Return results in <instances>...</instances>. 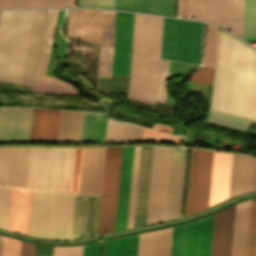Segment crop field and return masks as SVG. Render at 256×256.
<instances>
[{
  "mask_svg": "<svg viewBox=\"0 0 256 256\" xmlns=\"http://www.w3.org/2000/svg\"><path fill=\"white\" fill-rule=\"evenodd\" d=\"M240 155L233 154L229 198L237 194ZM253 158L241 155L238 194L250 191Z\"/></svg>",
  "mask_w": 256,
  "mask_h": 256,
  "instance_id": "obj_30",
  "label": "crop field"
},
{
  "mask_svg": "<svg viewBox=\"0 0 256 256\" xmlns=\"http://www.w3.org/2000/svg\"><path fill=\"white\" fill-rule=\"evenodd\" d=\"M134 147H123L115 230L126 228Z\"/></svg>",
  "mask_w": 256,
  "mask_h": 256,
  "instance_id": "obj_21",
  "label": "crop field"
},
{
  "mask_svg": "<svg viewBox=\"0 0 256 256\" xmlns=\"http://www.w3.org/2000/svg\"><path fill=\"white\" fill-rule=\"evenodd\" d=\"M107 117L84 112L80 143L104 142Z\"/></svg>",
  "mask_w": 256,
  "mask_h": 256,
  "instance_id": "obj_33",
  "label": "crop field"
},
{
  "mask_svg": "<svg viewBox=\"0 0 256 256\" xmlns=\"http://www.w3.org/2000/svg\"><path fill=\"white\" fill-rule=\"evenodd\" d=\"M215 28L208 25L202 64L210 66Z\"/></svg>",
  "mask_w": 256,
  "mask_h": 256,
  "instance_id": "obj_48",
  "label": "crop field"
},
{
  "mask_svg": "<svg viewBox=\"0 0 256 256\" xmlns=\"http://www.w3.org/2000/svg\"><path fill=\"white\" fill-rule=\"evenodd\" d=\"M115 12L103 10L98 77H110Z\"/></svg>",
  "mask_w": 256,
  "mask_h": 256,
  "instance_id": "obj_25",
  "label": "crop field"
},
{
  "mask_svg": "<svg viewBox=\"0 0 256 256\" xmlns=\"http://www.w3.org/2000/svg\"><path fill=\"white\" fill-rule=\"evenodd\" d=\"M35 103H36V98H31L30 104L35 105Z\"/></svg>",
  "mask_w": 256,
  "mask_h": 256,
  "instance_id": "obj_78",
  "label": "crop field"
},
{
  "mask_svg": "<svg viewBox=\"0 0 256 256\" xmlns=\"http://www.w3.org/2000/svg\"><path fill=\"white\" fill-rule=\"evenodd\" d=\"M50 106H53V107H64V102L51 100Z\"/></svg>",
  "mask_w": 256,
  "mask_h": 256,
  "instance_id": "obj_64",
  "label": "crop field"
},
{
  "mask_svg": "<svg viewBox=\"0 0 256 256\" xmlns=\"http://www.w3.org/2000/svg\"><path fill=\"white\" fill-rule=\"evenodd\" d=\"M83 245L54 247L53 256H82Z\"/></svg>",
  "mask_w": 256,
  "mask_h": 256,
  "instance_id": "obj_50",
  "label": "crop field"
},
{
  "mask_svg": "<svg viewBox=\"0 0 256 256\" xmlns=\"http://www.w3.org/2000/svg\"><path fill=\"white\" fill-rule=\"evenodd\" d=\"M89 110L105 111V107L90 106Z\"/></svg>",
  "mask_w": 256,
  "mask_h": 256,
  "instance_id": "obj_70",
  "label": "crop field"
},
{
  "mask_svg": "<svg viewBox=\"0 0 256 256\" xmlns=\"http://www.w3.org/2000/svg\"><path fill=\"white\" fill-rule=\"evenodd\" d=\"M11 187L0 186V228L7 230Z\"/></svg>",
  "mask_w": 256,
  "mask_h": 256,
  "instance_id": "obj_42",
  "label": "crop field"
},
{
  "mask_svg": "<svg viewBox=\"0 0 256 256\" xmlns=\"http://www.w3.org/2000/svg\"><path fill=\"white\" fill-rule=\"evenodd\" d=\"M129 117H130V114H126V113H125L124 116H123V118H122V120L128 121Z\"/></svg>",
  "mask_w": 256,
  "mask_h": 256,
  "instance_id": "obj_72",
  "label": "crop field"
},
{
  "mask_svg": "<svg viewBox=\"0 0 256 256\" xmlns=\"http://www.w3.org/2000/svg\"><path fill=\"white\" fill-rule=\"evenodd\" d=\"M106 148H84L79 193L101 195Z\"/></svg>",
  "mask_w": 256,
  "mask_h": 256,
  "instance_id": "obj_14",
  "label": "crop field"
},
{
  "mask_svg": "<svg viewBox=\"0 0 256 256\" xmlns=\"http://www.w3.org/2000/svg\"><path fill=\"white\" fill-rule=\"evenodd\" d=\"M255 123V122H254ZM254 123H252V124H254ZM251 125V124H250ZM251 126H255V125H251ZM251 126H249V128H253V129H256V127H251ZM250 130V129H249ZM255 131V130H254Z\"/></svg>",
  "mask_w": 256,
  "mask_h": 256,
  "instance_id": "obj_82",
  "label": "crop field"
},
{
  "mask_svg": "<svg viewBox=\"0 0 256 256\" xmlns=\"http://www.w3.org/2000/svg\"><path fill=\"white\" fill-rule=\"evenodd\" d=\"M204 124L209 125V126H216L220 129H224V130H228V131L230 130V128H228V127L216 125V124L209 123V122H205ZM231 132H238V133H242V134L244 133V131H240V130H236V129H231Z\"/></svg>",
  "mask_w": 256,
  "mask_h": 256,
  "instance_id": "obj_60",
  "label": "crop field"
},
{
  "mask_svg": "<svg viewBox=\"0 0 256 256\" xmlns=\"http://www.w3.org/2000/svg\"><path fill=\"white\" fill-rule=\"evenodd\" d=\"M172 228L139 235L137 256H169Z\"/></svg>",
  "mask_w": 256,
  "mask_h": 256,
  "instance_id": "obj_27",
  "label": "crop field"
},
{
  "mask_svg": "<svg viewBox=\"0 0 256 256\" xmlns=\"http://www.w3.org/2000/svg\"><path fill=\"white\" fill-rule=\"evenodd\" d=\"M193 90L199 93V84H194Z\"/></svg>",
  "mask_w": 256,
  "mask_h": 256,
  "instance_id": "obj_73",
  "label": "crop field"
},
{
  "mask_svg": "<svg viewBox=\"0 0 256 256\" xmlns=\"http://www.w3.org/2000/svg\"><path fill=\"white\" fill-rule=\"evenodd\" d=\"M31 91L52 94H78L69 83L61 82L54 77L41 75H38L37 81Z\"/></svg>",
  "mask_w": 256,
  "mask_h": 256,
  "instance_id": "obj_35",
  "label": "crop field"
},
{
  "mask_svg": "<svg viewBox=\"0 0 256 256\" xmlns=\"http://www.w3.org/2000/svg\"><path fill=\"white\" fill-rule=\"evenodd\" d=\"M74 148H53L49 189L70 192Z\"/></svg>",
  "mask_w": 256,
  "mask_h": 256,
  "instance_id": "obj_20",
  "label": "crop field"
},
{
  "mask_svg": "<svg viewBox=\"0 0 256 256\" xmlns=\"http://www.w3.org/2000/svg\"><path fill=\"white\" fill-rule=\"evenodd\" d=\"M125 123L108 118L105 142L123 143Z\"/></svg>",
  "mask_w": 256,
  "mask_h": 256,
  "instance_id": "obj_41",
  "label": "crop field"
},
{
  "mask_svg": "<svg viewBox=\"0 0 256 256\" xmlns=\"http://www.w3.org/2000/svg\"><path fill=\"white\" fill-rule=\"evenodd\" d=\"M210 135H211V134L208 133L207 139H206V143H205L206 146L208 145V142H209V139H210Z\"/></svg>",
  "mask_w": 256,
  "mask_h": 256,
  "instance_id": "obj_77",
  "label": "crop field"
},
{
  "mask_svg": "<svg viewBox=\"0 0 256 256\" xmlns=\"http://www.w3.org/2000/svg\"><path fill=\"white\" fill-rule=\"evenodd\" d=\"M0 103H1V99H0Z\"/></svg>",
  "mask_w": 256,
  "mask_h": 256,
  "instance_id": "obj_84",
  "label": "crop field"
},
{
  "mask_svg": "<svg viewBox=\"0 0 256 256\" xmlns=\"http://www.w3.org/2000/svg\"><path fill=\"white\" fill-rule=\"evenodd\" d=\"M32 189L12 187L8 230L28 235Z\"/></svg>",
  "mask_w": 256,
  "mask_h": 256,
  "instance_id": "obj_18",
  "label": "crop field"
},
{
  "mask_svg": "<svg viewBox=\"0 0 256 256\" xmlns=\"http://www.w3.org/2000/svg\"><path fill=\"white\" fill-rule=\"evenodd\" d=\"M1 98H2V104H5V99H4V95L1 94Z\"/></svg>",
  "mask_w": 256,
  "mask_h": 256,
  "instance_id": "obj_80",
  "label": "crop field"
},
{
  "mask_svg": "<svg viewBox=\"0 0 256 256\" xmlns=\"http://www.w3.org/2000/svg\"><path fill=\"white\" fill-rule=\"evenodd\" d=\"M1 241H2V236H0V251H1Z\"/></svg>",
  "mask_w": 256,
  "mask_h": 256,
  "instance_id": "obj_83",
  "label": "crop field"
},
{
  "mask_svg": "<svg viewBox=\"0 0 256 256\" xmlns=\"http://www.w3.org/2000/svg\"><path fill=\"white\" fill-rule=\"evenodd\" d=\"M83 112L61 110L57 142L79 143Z\"/></svg>",
  "mask_w": 256,
  "mask_h": 256,
  "instance_id": "obj_32",
  "label": "crop field"
},
{
  "mask_svg": "<svg viewBox=\"0 0 256 256\" xmlns=\"http://www.w3.org/2000/svg\"><path fill=\"white\" fill-rule=\"evenodd\" d=\"M0 7H74V0H0Z\"/></svg>",
  "mask_w": 256,
  "mask_h": 256,
  "instance_id": "obj_36",
  "label": "crop field"
},
{
  "mask_svg": "<svg viewBox=\"0 0 256 256\" xmlns=\"http://www.w3.org/2000/svg\"><path fill=\"white\" fill-rule=\"evenodd\" d=\"M211 111L256 121V51L224 31Z\"/></svg>",
  "mask_w": 256,
  "mask_h": 256,
  "instance_id": "obj_1",
  "label": "crop field"
},
{
  "mask_svg": "<svg viewBox=\"0 0 256 256\" xmlns=\"http://www.w3.org/2000/svg\"><path fill=\"white\" fill-rule=\"evenodd\" d=\"M75 194L33 189L29 236L70 239Z\"/></svg>",
  "mask_w": 256,
  "mask_h": 256,
  "instance_id": "obj_3",
  "label": "crop field"
},
{
  "mask_svg": "<svg viewBox=\"0 0 256 256\" xmlns=\"http://www.w3.org/2000/svg\"><path fill=\"white\" fill-rule=\"evenodd\" d=\"M29 147L0 148V184L25 187Z\"/></svg>",
  "mask_w": 256,
  "mask_h": 256,
  "instance_id": "obj_17",
  "label": "crop field"
},
{
  "mask_svg": "<svg viewBox=\"0 0 256 256\" xmlns=\"http://www.w3.org/2000/svg\"><path fill=\"white\" fill-rule=\"evenodd\" d=\"M134 14L116 12L112 74L129 75Z\"/></svg>",
  "mask_w": 256,
  "mask_h": 256,
  "instance_id": "obj_10",
  "label": "crop field"
},
{
  "mask_svg": "<svg viewBox=\"0 0 256 256\" xmlns=\"http://www.w3.org/2000/svg\"><path fill=\"white\" fill-rule=\"evenodd\" d=\"M52 246L34 244L33 256H52Z\"/></svg>",
  "mask_w": 256,
  "mask_h": 256,
  "instance_id": "obj_54",
  "label": "crop field"
},
{
  "mask_svg": "<svg viewBox=\"0 0 256 256\" xmlns=\"http://www.w3.org/2000/svg\"><path fill=\"white\" fill-rule=\"evenodd\" d=\"M32 110L0 107V143L28 142Z\"/></svg>",
  "mask_w": 256,
  "mask_h": 256,
  "instance_id": "obj_13",
  "label": "crop field"
},
{
  "mask_svg": "<svg viewBox=\"0 0 256 256\" xmlns=\"http://www.w3.org/2000/svg\"><path fill=\"white\" fill-rule=\"evenodd\" d=\"M251 200L236 205L231 256H245Z\"/></svg>",
  "mask_w": 256,
  "mask_h": 256,
  "instance_id": "obj_28",
  "label": "crop field"
},
{
  "mask_svg": "<svg viewBox=\"0 0 256 256\" xmlns=\"http://www.w3.org/2000/svg\"><path fill=\"white\" fill-rule=\"evenodd\" d=\"M140 147H135L127 228L133 227Z\"/></svg>",
  "mask_w": 256,
  "mask_h": 256,
  "instance_id": "obj_39",
  "label": "crop field"
},
{
  "mask_svg": "<svg viewBox=\"0 0 256 256\" xmlns=\"http://www.w3.org/2000/svg\"><path fill=\"white\" fill-rule=\"evenodd\" d=\"M256 190V159L254 158L253 163V175H252V186L251 191Z\"/></svg>",
  "mask_w": 256,
  "mask_h": 256,
  "instance_id": "obj_59",
  "label": "crop field"
},
{
  "mask_svg": "<svg viewBox=\"0 0 256 256\" xmlns=\"http://www.w3.org/2000/svg\"><path fill=\"white\" fill-rule=\"evenodd\" d=\"M32 251H33V244L25 243L22 241L20 256H32Z\"/></svg>",
  "mask_w": 256,
  "mask_h": 256,
  "instance_id": "obj_57",
  "label": "crop field"
},
{
  "mask_svg": "<svg viewBox=\"0 0 256 256\" xmlns=\"http://www.w3.org/2000/svg\"><path fill=\"white\" fill-rule=\"evenodd\" d=\"M154 122H155L154 119L144 118V120H143V122L141 123V125H143V126H148V127L152 128Z\"/></svg>",
  "mask_w": 256,
  "mask_h": 256,
  "instance_id": "obj_61",
  "label": "crop field"
},
{
  "mask_svg": "<svg viewBox=\"0 0 256 256\" xmlns=\"http://www.w3.org/2000/svg\"><path fill=\"white\" fill-rule=\"evenodd\" d=\"M43 106H49V100L44 101Z\"/></svg>",
  "mask_w": 256,
  "mask_h": 256,
  "instance_id": "obj_79",
  "label": "crop field"
},
{
  "mask_svg": "<svg viewBox=\"0 0 256 256\" xmlns=\"http://www.w3.org/2000/svg\"><path fill=\"white\" fill-rule=\"evenodd\" d=\"M78 7H93V0H78ZM94 7L113 9V0H94Z\"/></svg>",
  "mask_w": 256,
  "mask_h": 256,
  "instance_id": "obj_51",
  "label": "crop field"
},
{
  "mask_svg": "<svg viewBox=\"0 0 256 256\" xmlns=\"http://www.w3.org/2000/svg\"><path fill=\"white\" fill-rule=\"evenodd\" d=\"M243 39L256 40V0H245Z\"/></svg>",
  "mask_w": 256,
  "mask_h": 256,
  "instance_id": "obj_37",
  "label": "crop field"
},
{
  "mask_svg": "<svg viewBox=\"0 0 256 256\" xmlns=\"http://www.w3.org/2000/svg\"><path fill=\"white\" fill-rule=\"evenodd\" d=\"M110 101H111V100H109V99H104V98H101V100H100V102H102L103 104H105V105L107 106V111H106V113H108Z\"/></svg>",
  "mask_w": 256,
  "mask_h": 256,
  "instance_id": "obj_69",
  "label": "crop field"
},
{
  "mask_svg": "<svg viewBox=\"0 0 256 256\" xmlns=\"http://www.w3.org/2000/svg\"><path fill=\"white\" fill-rule=\"evenodd\" d=\"M34 10H2L0 80L19 83Z\"/></svg>",
  "mask_w": 256,
  "mask_h": 256,
  "instance_id": "obj_4",
  "label": "crop field"
},
{
  "mask_svg": "<svg viewBox=\"0 0 256 256\" xmlns=\"http://www.w3.org/2000/svg\"><path fill=\"white\" fill-rule=\"evenodd\" d=\"M171 148L154 147L146 224L164 220Z\"/></svg>",
  "mask_w": 256,
  "mask_h": 256,
  "instance_id": "obj_7",
  "label": "crop field"
},
{
  "mask_svg": "<svg viewBox=\"0 0 256 256\" xmlns=\"http://www.w3.org/2000/svg\"><path fill=\"white\" fill-rule=\"evenodd\" d=\"M202 24L164 17L161 57L200 64Z\"/></svg>",
  "mask_w": 256,
  "mask_h": 256,
  "instance_id": "obj_5",
  "label": "crop field"
},
{
  "mask_svg": "<svg viewBox=\"0 0 256 256\" xmlns=\"http://www.w3.org/2000/svg\"><path fill=\"white\" fill-rule=\"evenodd\" d=\"M220 33L221 32L217 30L216 39H215V45H214V51H213V57H212V63H211V66H214V67H216V62H217Z\"/></svg>",
  "mask_w": 256,
  "mask_h": 256,
  "instance_id": "obj_55",
  "label": "crop field"
},
{
  "mask_svg": "<svg viewBox=\"0 0 256 256\" xmlns=\"http://www.w3.org/2000/svg\"><path fill=\"white\" fill-rule=\"evenodd\" d=\"M165 126H166V125H165ZM165 126H161V125L155 124L153 128H154V129H160V130H163V131H168V132H170V131H171V128L165 127Z\"/></svg>",
  "mask_w": 256,
  "mask_h": 256,
  "instance_id": "obj_66",
  "label": "crop field"
},
{
  "mask_svg": "<svg viewBox=\"0 0 256 256\" xmlns=\"http://www.w3.org/2000/svg\"><path fill=\"white\" fill-rule=\"evenodd\" d=\"M1 11V10H0Z\"/></svg>",
  "mask_w": 256,
  "mask_h": 256,
  "instance_id": "obj_85",
  "label": "crop field"
},
{
  "mask_svg": "<svg viewBox=\"0 0 256 256\" xmlns=\"http://www.w3.org/2000/svg\"><path fill=\"white\" fill-rule=\"evenodd\" d=\"M138 235L107 241L103 256H136Z\"/></svg>",
  "mask_w": 256,
  "mask_h": 256,
  "instance_id": "obj_34",
  "label": "crop field"
},
{
  "mask_svg": "<svg viewBox=\"0 0 256 256\" xmlns=\"http://www.w3.org/2000/svg\"><path fill=\"white\" fill-rule=\"evenodd\" d=\"M83 148H75L71 192L78 193Z\"/></svg>",
  "mask_w": 256,
  "mask_h": 256,
  "instance_id": "obj_45",
  "label": "crop field"
},
{
  "mask_svg": "<svg viewBox=\"0 0 256 256\" xmlns=\"http://www.w3.org/2000/svg\"><path fill=\"white\" fill-rule=\"evenodd\" d=\"M21 242L3 236L1 256H19Z\"/></svg>",
  "mask_w": 256,
  "mask_h": 256,
  "instance_id": "obj_47",
  "label": "crop field"
},
{
  "mask_svg": "<svg viewBox=\"0 0 256 256\" xmlns=\"http://www.w3.org/2000/svg\"><path fill=\"white\" fill-rule=\"evenodd\" d=\"M213 152L193 150L187 215L208 208Z\"/></svg>",
  "mask_w": 256,
  "mask_h": 256,
  "instance_id": "obj_9",
  "label": "crop field"
},
{
  "mask_svg": "<svg viewBox=\"0 0 256 256\" xmlns=\"http://www.w3.org/2000/svg\"><path fill=\"white\" fill-rule=\"evenodd\" d=\"M232 154L214 152L209 207L228 198Z\"/></svg>",
  "mask_w": 256,
  "mask_h": 256,
  "instance_id": "obj_19",
  "label": "crop field"
},
{
  "mask_svg": "<svg viewBox=\"0 0 256 256\" xmlns=\"http://www.w3.org/2000/svg\"><path fill=\"white\" fill-rule=\"evenodd\" d=\"M207 121L228 126V127L237 128L244 131L246 130L247 125L249 123L248 121H244V120H240V119H236V118H232V117H228V116H224V115H220L212 112L210 113Z\"/></svg>",
  "mask_w": 256,
  "mask_h": 256,
  "instance_id": "obj_44",
  "label": "crop field"
},
{
  "mask_svg": "<svg viewBox=\"0 0 256 256\" xmlns=\"http://www.w3.org/2000/svg\"><path fill=\"white\" fill-rule=\"evenodd\" d=\"M156 103H160V102H157ZM154 104L155 106H159V107H162V108H165V109H169V110H174V106H170V105H167V104H164V103H160V104H163V105H166V106H170V107H173V108H169V107H166V106H163V105H159V104ZM153 108V111H157L159 113H162V114H165V115H171L173 116V112L172 111H168V110H165V109H162V108H158V107H155Z\"/></svg>",
  "mask_w": 256,
  "mask_h": 256,
  "instance_id": "obj_56",
  "label": "crop field"
},
{
  "mask_svg": "<svg viewBox=\"0 0 256 256\" xmlns=\"http://www.w3.org/2000/svg\"><path fill=\"white\" fill-rule=\"evenodd\" d=\"M102 10H69L67 36L98 44Z\"/></svg>",
  "mask_w": 256,
  "mask_h": 256,
  "instance_id": "obj_15",
  "label": "crop field"
},
{
  "mask_svg": "<svg viewBox=\"0 0 256 256\" xmlns=\"http://www.w3.org/2000/svg\"><path fill=\"white\" fill-rule=\"evenodd\" d=\"M77 101H65V107L76 108Z\"/></svg>",
  "mask_w": 256,
  "mask_h": 256,
  "instance_id": "obj_65",
  "label": "crop field"
},
{
  "mask_svg": "<svg viewBox=\"0 0 256 256\" xmlns=\"http://www.w3.org/2000/svg\"><path fill=\"white\" fill-rule=\"evenodd\" d=\"M60 110L33 111L29 142H56Z\"/></svg>",
  "mask_w": 256,
  "mask_h": 256,
  "instance_id": "obj_24",
  "label": "crop field"
},
{
  "mask_svg": "<svg viewBox=\"0 0 256 256\" xmlns=\"http://www.w3.org/2000/svg\"><path fill=\"white\" fill-rule=\"evenodd\" d=\"M58 10H51L38 74L45 75Z\"/></svg>",
  "mask_w": 256,
  "mask_h": 256,
  "instance_id": "obj_38",
  "label": "crop field"
},
{
  "mask_svg": "<svg viewBox=\"0 0 256 256\" xmlns=\"http://www.w3.org/2000/svg\"><path fill=\"white\" fill-rule=\"evenodd\" d=\"M244 0H219L218 25L242 38Z\"/></svg>",
  "mask_w": 256,
  "mask_h": 256,
  "instance_id": "obj_26",
  "label": "crop field"
},
{
  "mask_svg": "<svg viewBox=\"0 0 256 256\" xmlns=\"http://www.w3.org/2000/svg\"><path fill=\"white\" fill-rule=\"evenodd\" d=\"M101 197L76 194L71 239L97 235Z\"/></svg>",
  "mask_w": 256,
  "mask_h": 256,
  "instance_id": "obj_11",
  "label": "crop field"
},
{
  "mask_svg": "<svg viewBox=\"0 0 256 256\" xmlns=\"http://www.w3.org/2000/svg\"><path fill=\"white\" fill-rule=\"evenodd\" d=\"M206 135H207V133L203 132V137H202L201 145H204Z\"/></svg>",
  "mask_w": 256,
  "mask_h": 256,
  "instance_id": "obj_74",
  "label": "crop field"
},
{
  "mask_svg": "<svg viewBox=\"0 0 256 256\" xmlns=\"http://www.w3.org/2000/svg\"><path fill=\"white\" fill-rule=\"evenodd\" d=\"M122 147L107 148L98 234L114 230Z\"/></svg>",
  "mask_w": 256,
  "mask_h": 256,
  "instance_id": "obj_8",
  "label": "crop field"
},
{
  "mask_svg": "<svg viewBox=\"0 0 256 256\" xmlns=\"http://www.w3.org/2000/svg\"><path fill=\"white\" fill-rule=\"evenodd\" d=\"M143 120V118L141 117H138L137 121H136V124L140 125L141 121Z\"/></svg>",
  "mask_w": 256,
  "mask_h": 256,
  "instance_id": "obj_76",
  "label": "crop field"
},
{
  "mask_svg": "<svg viewBox=\"0 0 256 256\" xmlns=\"http://www.w3.org/2000/svg\"><path fill=\"white\" fill-rule=\"evenodd\" d=\"M23 98L17 97L16 104H22Z\"/></svg>",
  "mask_w": 256,
  "mask_h": 256,
  "instance_id": "obj_75",
  "label": "crop field"
},
{
  "mask_svg": "<svg viewBox=\"0 0 256 256\" xmlns=\"http://www.w3.org/2000/svg\"><path fill=\"white\" fill-rule=\"evenodd\" d=\"M52 148L30 147L26 187L48 189Z\"/></svg>",
  "mask_w": 256,
  "mask_h": 256,
  "instance_id": "obj_22",
  "label": "crop field"
},
{
  "mask_svg": "<svg viewBox=\"0 0 256 256\" xmlns=\"http://www.w3.org/2000/svg\"><path fill=\"white\" fill-rule=\"evenodd\" d=\"M113 77H114V75H113ZM124 78H125V76H121V79H120V75H115L114 83H113L112 82V75H111V82L113 83V92L117 91L118 84H119V79L124 81ZM128 81H129V76H126L125 84H124V90H123V94L126 95V96H127V92H128ZM122 85H123V82L120 81L119 88H118L117 92L121 93ZM111 92H112V87H111Z\"/></svg>",
  "mask_w": 256,
  "mask_h": 256,
  "instance_id": "obj_52",
  "label": "crop field"
},
{
  "mask_svg": "<svg viewBox=\"0 0 256 256\" xmlns=\"http://www.w3.org/2000/svg\"><path fill=\"white\" fill-rule=\"evenodd\" d=\"M26 98H24L23 104H25ZM30 98H27V104H29Z\"/></svg>",
  "mask_w": 256,
  "mask_h": 256,
  "instance_id": "obj_81",
  "label": "crop field"
},
{
  "mask_svg": "<svg viewBox=\"0 0 256 256\" xmlns=\"http://www.w3.org/2000/svg\"><path fill=\"white\" fill-rule=\"evenodd\" d=\"M183 137L144 128L142 142H170L181 144Z\"/></svg>",
  "mask_w": 256,
  "mask_h": 256,
  "instance_id": "obj_43",
  "label": "crop field"
},
{
  "mask_svg": "<svg viewBox=\"0 0 256 256\" xmlns=\"http://www.w3.org/2000/svg\"><path fill=\"white\" fill-rule=\"evenodd\" d=\"M101 242L84 245L83 256H100Z\"/></svg>",
  "mask_w": 256,
  "mask_h": 256,
  "instance_id": "obj_53",
  "label": "crop field"
},
{
  "mask_svg": "<svg viewBox=\"0 0 256 256\" xmlns=\"http://www.w3.org/2000/svg\"><path fill=\"white\" fill-rule=\"evenodd\" d=\"M211 91H212V85H207V103H208V105L210 103Z\"/></svg>",
  "mask_w": 256,
  "mask_h": 256,
  "instance_id": "obj_67",
  "label": "crop field"
},
{
  "mask_svg": "<svg viewBox=\"0 0 256 256\" xmlns=\"http://www.w3.org/2000/svg\"><path fill=\"white\" fill-rule=\"evenodd\" d=\"M49 10H35L20 83L35 80Z\"/></svg>",
  "mask_w": 256,
  "mask_h": 256,
  "instance_id": "obj_12",
  "label": "crop field"
},
{
  "mask_svg": "<svg viewBox=\"0 0 256 256\" xmlns=\"http://www.w3.org/2000/svg\"><path fill=\"white\" fill-rule=\"evenodd\" d=\"M213 72L214 69L201 66L192 73L189 82L212 83Z\"/></svg>",
  "mask_w": 256,
  "mask_h": 256,
  "instance_id": "obj_46",
  "label": "crop field"
},
{
  "mask_svg": "<svg viewBox=\"0 0 256 256\" xmlns=\"http://www.w3.org/2000/svg\"><path fill=\"white\" fill-rule=\"evenodd\" d=\"M214 215L173 228L170 256H209Z\"/></svg>",
  "mask_w": 256,
  "mask_h": 256,
  "instance_id": "obj_6",
  "label": "crop field"
},
{
  "mask_svg": "<svg viewBox=\"0 0 256 256\" xmlns=\"http://www.w3.org/2000/svg\"><path fill=\"white\" fill-rule=\"evenodd\" d=\"M127 99V98H126ZM128 103L129 104H132V105H135V106H138L140 108H145V109H149L151 110L152 109V105H148V104H144V103H140V102H136V101H132V100H129L127 99Z\"/></svg>",
  "mask_w": 256,
  "mask_h": 256,
  "instance_id": "obj_58",
  "label": "crop field"
},
{
  "mask_svg": "<svg viewBox=\"0 0 256 256\" xmlns=\"http://www.w3.org/2000/svg\"><path fill=\"white\" fill-rule=\"evenodd\" d=\"M143 127L126 123L124 143L141 142Z\"/></svg>",
  "mask_w": 256,
  "mask_h": 256,
  "instance_id": "obj_49",
  "label": "crop field"
},
{
  "mask_svg": "<svg viewBox=\"0 0 256 256\" xmlns=\"http://www.w3.org/2000/svg\"><path fill=\"white\" fill-rule=\"evenodd\" d=\"M246 256H256V199L252 200Z\"/></svg>",
  "mask_w": 256,
  "mask_h": 256,
  "instance_id": "obj_40",
  "label": "crop field"
},
{
  "mask_svg": "<svg viewBox=\"0 0 256 256\" xmlns=\"http://www.w3.org/2000/svg\"><path fill=\"white\" fill-rule=\"evenodd\" d=\"M174 0H114V9L153 12L173 16Z\"/></svg>",
  "mask_w": 256,
  "mask_h": 256,
  "instance_id": "obj_31",
  "label": "crop field"
},
{
  "mask_svg": "<svg viewBox=\"0 0 256 256\" xmlns=\"http://www.w3.org/2000/svg\"><path fill=\"white\" fill-rule=\"evenodd\" d=\"M235 206L215 215L211 255L230 256Z\"/></svg>",
  "mask_w": 256,
  "mask_h": 256,
  "instance_id": "obj_23",
  "label": "crop field"
},
{
  "mask_svg": "<svg viewBox=\"0 0 256 256\" xmlns=\"http://www.w3.org/2000/svg\"><path fill=\"white\" fill-rule=\"evenodd\" d=\"M193 0H180L179 16L192 19ZM218 0H194L193 19L217 24Z\"/></svg>",
  "mask_w": 256,
  "mask_h": 256,
  "instance_id": "obj_29",
  "label": "crop field"
},
{
  "mask_svg": "<svg viewBox=\"0 0 256 256\" xmlns=\"http://www.w3.org/2000/svg\"><path fill=\"white\" fill-rule=\"evenodd\" d=\"M137 117H138L137 115L132 114L131 117H130V119H129V122L135 123Z\"/></svg>",
  "mask_w": 256,
  "mask_h": 256,
  "instance_id": "obj_71",
  "label": "crop field"
},
{
  "mask_svg": "<svg viewBox=\"0 0 256 256\" xmlns=\"http://www.w3.org/2000/svg\"><path fill=\"white\" fill-rule=\"evenodd\" d=\"M117 102H118V101L113 100L111 109H110V111H109V113H108L110 116L113 115V112H114V110H115V108H116V106H117Z\"/></svg>",
  "mask_w": 256,
  "mask_h": 256,
  "instance_id": "obj_68",
  "label": "crop field"
},
{
  "mask_svg": "<svg viewBox=\"0 0 256 256\" xmlns=\"http://www.w3.org/2000/svg\"><path fill=\"white\" fill-rule=\"evenodd\" d=\"M163 17L135 14L128 96L152 104L159 72Z\"/></svg>",
  "mask_w": 256,
  "mask_h": 256,
  "instance_id": "obj_2",
  "label": "crop field"
},
{
  "mask_svg": "<svg viewBox=\"0 0 256 256\" xmlns=\"http://www.w3.org/2000/svg\"><path fill=\"white\" fill-rule=\"evenodd\" d=\"M124 112L125 110H121L117 108L113 117L120 120Z\"/></svg>",
  "mask_w": 256,
  "mask_h": 256,
  "instance_id": "obj_62",
  "label": "crop field"
},
{
  "mask_svg": "<svg viewBox=\"0 0 256 256\" xmlns=\"http://www.w3.org/2000/svg\"><path fill=\"white\" fill-rule=\"evenodd\" d=\"M186 149L172 148L165 220L179 217Z\"/></svg>",
  "mask_w": 256,
  "mask_h": 256,
  "instance_id": "obj_16",
  "label": "crop field"
},
{
  "mask_svg": "<svg viewBox=\"0 0 256 256\" xmlns=\"http://www.w3.org/2000/svg\"><path fill=\"white\" fill-rule=\"evenodd\" d=\"M98 81H99V78H98V80H97L96 89H97V87H98ZM101 81H102V78H101ZM99 84H100V81H99ZM109 84H110V78H107L106 94L109 93ZM102 85H103V81H102ZM100 88H101V84H100ZM98 90H99V87H98ZM101 91H102V88H101Z\"/></svg>",
  "mask_w": 256,
  "mask_h": 256,
  "instance_id": "obj_63",
  "label": "crop field"
}]
</instances>
